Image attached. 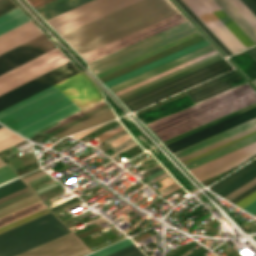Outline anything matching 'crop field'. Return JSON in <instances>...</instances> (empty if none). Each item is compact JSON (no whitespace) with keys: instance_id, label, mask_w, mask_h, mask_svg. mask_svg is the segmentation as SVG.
<instances>
[{"instance_id":"crop-field-1","label":"crop field","mask_w":256,"mask_h":256,"mask_svg":"<svg viewBox=\"0 0 256 256\" xmlns=\"http://www.w3.org/2000/svg\"><path fill=\"white\" fill-rule=\"evenodd\" d=\"M77 73L79 71L68 62L21 85L0 96V111ZM58 85L81 109L104 98L92 81L82 72ZM58 85L1 111L0 123L7 126L67 96ZM76 104L69 97H66L8 127L25 138H28L35 132L81 110Z\"/></svg>"},{"instance_id":"crop-field-2","label":"crop field","mask_w":256,"mask_h":256,"mask_svg":"<svg viewBox=\"0 0 256 256\" xmlns=\"http://www.w3.org/2000/svg\"><path fill=\"white\" fill-rule=\"evenodd\" d=\"M177 13L169 0H141L61 37L81 55Z\"/></svg>"},{"instance_id":"crop-field-3","label":"crop field","mask_w":256,"mask_h":256,"mask_svg":"<svg viewBox=\"0 0 256 256\" xmlns=\"http://www.w3.org/2000/svg\"><path fill=\"white\" fill-rule=\"evenodd\" d=\"M255 101L256 91L247 83L147 123L145 126L163 142Z\"/></svg>"},{"instance_id":"crop-field-4","label":"crop field","mask_w":256,"mask_h":256,"mask_svg":"<svg viewBox=\"0 0 256 256\" xmlns=\"http://www.w3.org/2000/svg\"><path fill=\"white\" fill-rule=\"evenodd\" d=\"M221 58L223 57L211 44H209L196 51L113 86L109 88V90L121 102H123L136 95L213 63Z\"/></svg>"},{"instance_id":"crop-field-5","label":"crop field","mask_w":256,"mask_h":256,"mask_svg":"<svg viewBox=\"0 0 256 256\" xmlns=\"http://www.w3.org/2000/svg\"><path fill=\"white\" fill-rule=\"evenodd\" d=\"M69 233L50 212L0 234V256H16Z\"/></svg>"},{"instance_id":"crop-field-6","label":"crop field","mask_w":256,"mask_h":256,"mask_svg":"<svg viewBox=\"0 0 256 256\" xmlns=\"http://www.w3.org/2000/svg\"><path fill=\"white\" fill-rule=\"evenodd\" d=\"M190 10L207 26V28L224 44L232 53L248 48L254 43L243 33V31L222 11L213 0H182ZM220 10L218 12H215ZM231 30L229 29L218 19Z\"/></svg>"},{"instance_id":"crop-field-7","label":"crop field","mask_w":256,"mask_h":256,"mask_svg":"<svg viewBox=\"0 0 256 256\" xmlns=\"http://www.w3.org/2000/svg\"><path fill=\"white\" fill-rule=\"evenodd\" d=\"M231 68L232 67L224 59H221L197 71H194L167 84L143 93L137 97L127 100L123 102V104L131 112H134L140 108L159 101L165 97H168Z\"/></svg>"},{"instance_id":"crop-field-8","label":"crop field","mask_w":256,"mask_h":256,"mask_svg":"<svg viewBox=\"0 0 256 256\" xmlns=\"http://www.w3.org/2000/svg\"><path fill=\"white\" fill-rule=\"evenodd\" d=\"M139 0H94L47 20L59 34L107 15Z\"/></svg>"},{"instance_id":"crop-field-9","label":"crop field","mask_w":256,"mask_h":256,"mask_svg":"<svg viewBox=\"0 0 256 256\" xmlns=\"http://www.w3.org/2000/svg\"><path fill=\"white\" fill-rule=\"evenodd\" d=\"M57 49H53L0 76V95L67 62Z\"/></svg>"},{"instance_id":"crop-field-10","label":"crop field","mask_w":256,"mask_h":256,"mask_svg":"<svg viewBox=\"0 0 256 256\" xmlns=\"http://www.w3.org/2000/svg\"><path fill=\"white\" fill-rule=\"evenodd\" d=\"M184 21H186V19L184 18V16L181 13H179V14H177L175 16H172V17H170L168 19H165V20H163L161 22L153 24V25H151L149 27H146V28H144L142 30H139V31H137L135 33H132V34H130L128 36H125V37H123L121 39H118V40H116L114 42H111V43H109L107 45H104V46L99 47V48H97L95 50H92V51H90L88 53H85V54L81 55V57L84 58L87 61V63H88V62H90L92 60H95V59H97L99 57H102V56H104L106 54L114 52V51H116L118 49H121V48H123L125 46H128V45H130L132 43H135V42H137L139 40H142V39H144L146 37H149V36H151L153 34H156V33L160 32V31L168 29V28H170L172 26H175V25H177L179 23H182Z\"/></svg>"},{"instance_id":"crop-field-11","label":"crop field","mask_w":256,"mask_h":256,"mask_svg":"<svg viewBox=\"0 0 256 256\" xmlns=\"http://www.w3.org/2000/svg\"><path fill=\"white\" fill-rule=\"evenodd\" d=\"M55 48L43 34L0 55V75Z\"/></svg>"},{"instance_id":"crop-field-12","label":"crop field","mask_w":256,"mask_h":256,"mask_svg":"<svg viewBox=\"0 0 256 256\" xmlns=\"http://www.w3.org/2000/svg\"><path fill=\"white\" fill-rule=\"evenodd\" d=\"M254 154H256V142L194 168L190 173L201 182L238 166Z\"/></svg>"},{"instance_id":"crop-field-13","label":"crop field","mask_w":256,"mask_h":256,"mask_svg":"<svg viewBox=\"0 0 256 256\" xmlns=\"http://www.w3.org/2000/svg\"><path fill=\"white\" fill-rule=\"evenodd\" d=\"M189 24L190 23L186 21L182 24H179L175 27H172L147 39L137 42L131 46H128L124 49H121L117 52H114L110 55L93 61L88 64L90 71L193 28V26L191 24L189 26Z\"/></svg>"},{"instance_id":"crop-field-14","label":"crop field","mask_w":256,"mask_h":256,"mask_svg":"<svg viewBox=\"0 0 256 256\" xmlns=\"http://www.w3.org/2000/svg\"><path fill=\"white\" fill-rule=\"evenodd\" d=\"M89 253L71 233L19 256H83Z\"/></svg>"},{"instance_id":"crop-field-15","label":"crop field","mask_w":256,"mask_h":256,"mask_svg":"<svg viewBox=\"0 0 256 256\" xmlns=\"http://www.w3.org/2000/svg\"><path fill=\"white\" fill-rule=\"evenodd\" d=\"M254 117H256V107H254V108H252L250 110H247V111H245V112H243L241 114H238V115H236V116H234L232 118H229V119H227L225 121H222V122H220L218 124L210 126V127L206 128V129H203V130H201L199 132H196V133H194L192 135H189V136H187L185 138H182V139L177 140V141H175L173 143H170V144L166 145V147L168 148V150L171 153H173V152H175L177 150H180V149H182L184 147H187V146H189L191 144H194V143H196V142H198L200 140H203V139H205L207 137H210V136H212L214 134H217V133H219L221 131H224V130H226L228 128H231V127H233L235 125H238V124H240L242 122H245V121H247V120H249L251 118H254Z\"/></svg>"},{"instance_id":"crop-field-16","label":"crop field","mask_w":256,"mask_h":256,"mask_svg":"<svg viewBox=\"0 0 256 256\" xmlns=\"http://www.w3.org/2000/svg\"><path fill=\"white\" fill-rule=\"evenodd\" d=\"M110 108L105 99L37 132L40 134H46V135H51L55 136L58 133L92 117L95 116L106 109Z\"/></svg>"},{"instance_id":"crop-field-17","label":"crop field","mask_w":256,"mask_h":256,"mask_svg":"<svg viewBox=\"0 0 256 256\" xmlns=\"http://www.w3.org/2000/svg\"><path fill=\"white\" fill-rule=\"evenodd\" d=\"M242 78L235 71L205 83L201 86L186 91L187 95L193 101L194 104L207 99L213 95H216L224 90H227L233 85L231 83Z\"/></svg>"},{"instance_id":"crop-field-18","label":"crop field","mask_w":256,"mask_h":256,"mask_svg":"<svg viewBox=\"0 0 256 256\" xmlns=\"http://www.w3.org/2000/svg\"><path fill=\"white\" fill-rule=\"evenodd\" d=\"M42 34L31 22H27L0 36V54Z\"/></svg>"},{"instance_id":"crop-field-19","label":"crop field","mask_w":256,"mask_h":256,"mask_svg":"<svg viewBox=\"0 0 256 256\" xmlns=\"http://www.w3.org/2000/svg\"><path fill=\"white\" fill-rule=\"evenodd\" d=\"M207 44H209V42L206 39H204V40H202L200 42H197V43H195V44H193L191 46H188V47H186L184 49H181V50H179V51H177L175 53H172V54H170L168 56H165V57H163V58H161L159 60H156V61H154L152 63H149V64H147V65H145L143 67H140V68H138L136 70H133V71H131V72L127 73V74H124V75H122L120 77H117V78H115V79H113L111 81H108V82L104 83V85L107 88H109V87H111L113 85H116V84H118V83H120L122 81H125V80H127L129 78H132V77H134V76H136L138 74H141V73H143L145 71H148V70H150V69H152L154 67H157V66H159L161 64H164V63H166V62H168L170 60H173V59H175L177 57H180V56H182V55H184L186 53H189V52H191L193 50H196V49H198V48H200L202 46H205Z\"/></svg>"},{"instance_id":"crop-field-20","label":"crop field","mask_w":256,"mask_h":256,"mask_svg":"<svg viewBox=\"0 0 256 256\" xmlns=\"http://www.w3.org/2000/svg\"><path fill=\"white\" fill-rule=\"evenodd\" d=\"M255 125H256V118L251 119V120H249V121H247L245 123H242V124H240L238 126H235V127L231 128V129H228V130H226L224 132H221V133H219L217 135H214V136H212L210 138H207V139H205L203 141H200V142H198V143H196L194 145H191V146H189L187 148H184V149H182L180 151H177V152L173 153V155L177 159H179V158H181L183 156H186V155H188L190 153H193V152H195L197 150H200V149H202V148H204L206 146H209V145H211L213 143H216V142H218L220 140H223V139H225L227 137H230V136H232L234 134H237V133H239L241 131H244V130H246L248 128H251V127H253Z\"/></svg>"},{"instance_id":"crop-field-21","label":"crop field","mask_w":256,"mask_h":256,"mask_svg":"<svg viewBox=\"0 0 256 256\" xmlns=\"http://www.w3.org/2000/svg\"><path fill=\"white\" fill-rule=\"evenodd\" d=\"M26 187L19 179L0 186V198ZM33 194L28 187L0 199V208Z\"/></svg>"},{"instance_id":"crop-field-22","label":"crop field","mask_w":256,"mask_h":256,"mask_svg":"<svg viewBox=\"0 0 256 256\" xmlns=\"http://www.w3.org/2000/svg\"><path fill=\"white\" fill-rule=\"evenodd\" d=\"M254 141H256V134H254V135H252L250 137H247V138H245L243 140H240L238 142H235V143H233L231 145H228V146H226L224 148H221V149H219L217 151H214V152H212L210 154H207V155H205L203 157L195 159V160H193L191 162H188V163L184 164V166L188 170H190V169H192L194 167H197V166H199V165H201L203 163H206V162H208L210 160H213V159H215V158H217L219 156H222V155H224L226 153H229V152H231L233 150H236V149H238V148H240L242 146H245V145H247L249 143H252Z\"/></svg>"},{"instance_id":"crop-field-23","label":"crop field","mask_w":256,"mask_h":256,"mask_svg":"<svg viewBox=\"0 0 256 256\" xmlns=\"http://www.w3.org/2000/svg\"><path fill=\"white\" fill-rule=\"evenodd\" d=\"M132 244V242L129 240V239H125L121 242H118L114 245H111L107 248H104L100 251H97L93 254H90L88 256H105L109 253H112L116 250H119L125 246H128ZM107 256H145L134 244L128 246V247H125L119 251H116L112 254H109Z\"/></svg>"},{"instance_id":"crop-field-24","label":"crop field","mask_w":256,"mask_h":256,"mask_svg":"<svg viewBox=\"0 0 256 256\" xmlns=\"http://www.w3.org/2000/svg\"><path fill=\"white\" fill-rule=\"evenodd\" d=\"M37 201H39V199H37V200H35L33 202H30V203H28V204H26L24 206H21V207H19L17 209H14V210H12L10 212H7V213L1 215L0 217H2L4 215H7V214H9L11 212H14V211H16L18 209H21V208H23L25 206H28V205H30L32 203H35ZM44 208H46V206L41 201H39V202H37L35 204H32V205H30L28 207H25V208L21 209V210H18V211L14 212V213H11V214L7 215V216H4V217L0 218V227H3L5 225H7V224H10V223H12V222H14L16 220H19V219H21L23 217H26V216H28L30 214H33V213H35V212H37L39 210L44 209Z\"/></svg>"},{"instance_id":"crop-field-25","label":"crop field","mask_w":256,"mask_h":256,"mask_svg":"<svg viewBox=\"0 0 256 256\" xmlns=\"http://www.w3.org/2000/svg\"><path fill=\"white\" fill-rule=\"evenodd\" d=\"M222 10L246 33V35L256 44V32L237 13V11L226 0H214Z\"/></svg>"},{"instance_id":"crop-field-26","label":"crop field","mask_w":256,"mask_h":256,"mask_svg":"<svg viewBox=\"0 0 256 256\" xmlns=\"http://www.w3.org/2000/svg\"><path fill=\"white\" fill-rule=\"evenodd\" d=\"M29 20L30 19L18 8L1 16L0 35Z\"/></svg>"},{"instance_id":"crop-field-27","label":"crop field","mask_w":256,"mask_h":256,"mask_svg":"<svg viewBox=\"0 0 256 256\" xmlns=\"http://www.w3.org/2000/svg\"><path fill=\"white\" fill-rule=\"evenodd\" d=\"M253 131H256V126L255 127H253V128H251V129H248V130H246V131H244V132H241V133H239V134H237V135H234V136H232V137H230V138H227V139H225V140H223V141H220V142H218V143H216V144H213V145H211V146H209V147H206V148H204V149H202V150H200V151H197V152H195V153H193V154H190V155H188V156H186V157H183V158H181V159H179V161L181 162V163H183V162H185V161H187V160H189V159H192V158H194V157H196V156H199V155H201V154H203V153H205V152H208V151H210V150H212V149H215V148H217V147H219V146H221V145H224V144H226V143H228V142H231V141H233V140H235V139H237V138H240V137H242V136H244V135H247V134H249V133H251V132H253ZM254 133H256V132H254ZM251 134H253V133H251ZM251 134H249V135H251ZM249 135H247V136H249ZM244 137H246V136H244ZM244 137H242V138H244ZM242 138H240V139H242ZM239 140V139H238ZM235 141H237V140H235ZM235 141H233V142H235ZM232 143V142H231ZM228 144H230V143H228ZM228 144H226V145H228ZM225 146V145H224ZM223 147V146H222ZM219 148H221V147H219ZM218 149V148H217ZM216 150V149H215ZM212 151H214V150H212ZM211 152V151H210ZM209 153V152H208ZM207 154V153H206ZM203 155H205V154H203ZM202 156V155H201ZM200 157V156H199ZM196 158H198V157H196ZM195 159V158H194ZM193 160V159H192ZM191 161V160H190ZM188 162V161H187ZM186 163V162H185ZM184 164V163H183Z\"/></svg>"},{"instance_id":"crop-field-28","label":"crop field","mask_w":256,"mask_h":256,"mask_svg":"<svg viewBox=\"0 0 256 256\" xmlns=\"http://www.w3.org/2000/svg\"><path fill=\"white\" fill-rule=\"evenodd\" d=\"M89 1H91V0H69V1H67V2H65L63 4H60V5L56 6V7H53L51 9L47 10V11H44V12L40 13V15L45 20H47V19H49L51 17H54V16H56L58 14H61V13L65 12V11L73 9V8H75L77 6H80V5L84 4V3H87Z\"/></svg>"},{"instance_id":"crop-field-29","label":"crop field","mask_w":256,"mask_h":256,"mask_svg":"<svg viewBox=\"0 0 256 256\" xmlns=\"http://www.w3.org/2000/svg\"><path fill=\"white\" fill-rule=\"evenodd\" d=\"M255 167H256V159L254 161L250 162L249 164H247L246 166L242 167L238 171L234 172L230 176L226 177L222 181L211 186V188H210L211 191L214 193L217 192L218 190L222 189L223 187H225L226 185L233 182L234 180H236L237 178L244 175L245 173H247L248 171H250L251 169H253Z\"/></svg>"},{"instance_id":"crop-field-30","label":"crop field","mask_w":256,"mask_h":256,"mask_svg":"<svg viewBox=\"0 0 256 256\" xmlns=\"http://www.w3.org/2000/svg\"><path fill=\"white\" fill-rule=\"evenodd\" d=\"M24 141L21 137L2 127L0 128V151Z\"/></svg>"},{"instance_id":"crop-field-31","label":"crop field","mask_w":256,"mask_h":256,"mask_svg":"<svg viewBox=\"0 0 256 256\" xmlns=\"http://www.w3.org/2000/svg\"><path fill=\"white\" fill-rule=\"evenodd\" d=\"M175 1L227 55H231V53L223 46V44L206 28V26L189 10V8L181 0Z\"/></svg>"},{"instance_id":"crop-field-32","label":"crop field","mask_w":256,"mask_h":256,"mask_svg":"<svg viewBox=\"0 0 256 256\" xmlns=\"http://www.w3.org/2000/svg\"><path fill=\"white\" fill-rule=\"evenodd\" d=\"M255 177H256V168L250 171L249 173H247L246 175L242 176L241 178H239L238 180H236L226 188L222 189L217 194L224 197Z\"/></svg>"},{"instance_id":"crop-field-33","label":"crop field","mask_w":256,"mask_h":256,"mask_svg":"<svg viewBox=\"0 0 256 256\" xmlns=\"http://www.w3.org/2000/svg\"><path fill=\"white\" fill-rule=\"evenodd\" d=\"M239 14L256 30V17L239 1L227 0Z\"/></svg>"},{"instance_id":"crop-field-34","label":"crop field","mask_w":256,"mask_h":256,"mask_svg":"<svg viewBox=\"0 0 256 256\" xmlns=\"http://www.w3.org/2000/svg\"><path fill=\"white\" fill-rule=\"evenodd\" d=\"M3 166H5V164L0 159V168ZM14 177H16V175L7 166L0 169V183L5 182Z\"/></svg>"},{"instance_id":"crop-field-35","label":"crop field","mask_w":256,"mask_h":256,"mask_svg":"<svg viewBox=\"0 0 256 256\" xmlns=\"http://www.w3.org/2000/svg\"><path fill=\"white\" fill-rule=\"evenodd\" d=\"M254 106H256V104H254V105H252V106H249V107H247V108H244V109H242V110H240V111H237V112H235V113H233V114H231V115H228V116H226V117H224V118H222V119H219V120H217V121H214V122H212V123H210V124H207V125H205V126H202V127L198 128V129H195V130H193V131H190V132H188V133H186V134H184V135H181V136H179V137H177V138H175V139H173V140H170V141L164 143V145H166V144H168V143H170V142H173V141H175V140H177V139H180V138H182V137H184V136H187V135H189V134H191V133H193V132H196V131H198V130H200V129H203V128L207 127V126H210V125H212V124H214V123H217V122H219V121H221V120H224V119H226V118H228V117H231V116H233V115H235V114H238V113H240V112H242V111H244V110H247V109H249V108H251V107H254Z\"/></svg>"},{"instance_id":"crop-field-36","label":"crop field","mask_w":256,"mask_h":256,"mask_svg":"<svg viewBox=\"0 0 256 256\" xmlns=\"http://www.w3.org/2000/svg\"><path fill=\"white\" fill-rule=\"evenodd\" d=\"M256 184V178L253 179L252 181L248 182L247 184H245L244 186L240 187L239 189H237L236 191L232 192L231 194H229L228 196L224 197L225 199H227L228 201L231 200L232 198L236 197L237 195H239L240 193L244 192L245 190H247L248 188H250L251 186Z\"/></svg>"},{"instance_id":"crop-field-37","label":"crop field","mask_w":256,"mask_h":256,"mask_svg":"<svg viewBox=\"0 0 256 256\" xmlns=\"http://www.w3.org/2000/svg\"><path fill=\"white\" fill-rule=\"evenodd\" d=\"M16 8L11 0H0V15Z\"/></svg>"},{"instance_id":"crop-field-38","label":"crop field","mask_w":256,"mask_h":256,"mask_svg":"<svg viewBox=\"0 0 256 256\" xmlns=\"http://www.w3.org/2000/svg\"><path fill=\"white\" fill-rule=\"evenodd\" d=\"M35 199H37L36 195H34V196L30 197V198H27V199H25V200H23L21 202H18V203L14 204V205H11V206H9L7 208H4V209L0 210V215L5 213V212H7V211H10V210H12L14 208H17V207H19L21 205H24V204H26V203H28L30 201H33Z\"/></svg>"},{"instance_id":"crop-field-39","label":"crop field","mask_w":256,"mask_h":256,"mask_svg":"<svg viewBox=\"0 0 256 256\" xmlns=\"http://www.w3.org/2000/svg\"><path fill=\"white\" fill-rule=\"evenodd\" d=\"M122 130H124V129H123L122 126L120 125V126H118L117 128H115V129H113V130H111V131L108 130V131L102 133L101 135H99V136H97V137L100 138V139L103 141V140H105V139H107V138H109V137H111V136H113V135H115V134L121 132Z\"/></svg>"},{"instance_id":"crop-field-40","label":"crop field","mask_w":256,"mask_h":256,"mask_svg":"<svg viewBox=\"0 0 256 256\" xmlns=\"http://www.w3.org/2000/svg\"><path fill=\"white\" fill-rule=\"evenodd\" d=\"M62 192L57 188V187H55V188H53V189H51V190H48V191H46V192H43V193H41V194H39V196L41 197V198H45L46 200H48V199H50V198H52V197H55V196H57V195H59V194H61Z\"/></svg>"},{"instance_id":"crop-field-41","label":"crop field","mask_w":256,"mask_h":256,"mask_svg":"<svg viewBox=\"0 0 256 256\" xmlns=\"http://www.w3.org/2000/svg\"><path fill=\"white\" fill-rule=\"evenodd\" d=\"M65 1H67V0H54V1L50 2V3H47V4L43 5V6H40V7L36 8V10H37L38 13H40V12H42L44 10H47V9L53 7V6H56V5L60 4V3L65 2Z\"/></svg>"},{"instance_id":"crop-field-42","label":"crop field","mask_w":256,"mask_h":256,"mask_svg":"<svg viewBox=\"0 0 256 256\" xmlns=\"http://www.w3.org/2000/svg\"><path fill=\"white\" fill-rule=\"evenodd\" d=\"M255 191H256V185L251 187L250 189H248L244 193L240 194L236 198L232 199L230 202L235 204V203L239 202L240 200H242L243 198L247 197L248 195H250L251 193H253Z\"/></svg>"},{"instance_id":"crop-field-43","label":"crop field","mask_w":256,"mask_h":256,"mask_svg":"<svg viewBox=\"0 0 256 256\" xmlns=\"http://www.w3.org/2000/svg\"><path fill=\"white\" fill-rule=\"evenodd\" d=\"M241 1L256 16V4L252 0H241Z\"/></svg>"},{"instance_id":"crop-field-44","label":"crop field","mask_w":256,"mask_h":256,"mask_svg":"<svg viewBox=\"0 0 256 256\" xmlns=\"http://www.w3.org/2000/svg\"><path fill=\"white\" fill-rule=\"evenodd\" d=\"M134 142H136V141L132 138V139H130V140L124 142L123 144H121V145H119V146H117V147H115V148H113V149H111V150L116 153V152H118L119 150H121V149L127 147L128 145H130V144H132V143H134Z\"/></svg>"},{"instance_id":"crop-field-45","label":"crop field","mask_w":256,"mask_h":256,"mask_svg":"<svg viewBox=\"0 0 256 256\" xmlns=\"http://www.w3.org/2000/svg\"><path fill=\"white\" fill-rule=\"evenodd\" d=\"M43 174H45V172L43 170H41V171H39L37 173H34V174L30 175V176H27V177L23 178V180H24L25 183H27V182H29V181H31V180H33V179L43 175Z\"/></svg>"},{"instance_id":"crop-field-46","label":"crop field","mask_w":256,"mask_h":256,"mask_svg":"<svg viewBox=\"0 0 256 256\" xmlns=\"http://www.w3.org/2000/svg\"><path fill=\"white\" fill-rule=\"evenodd\" d=\"M244 210L248 211L251 214H256V201L252 202L251 204L247 205L243 208Z\"/></svg>"},{"instance_id":"crop-field-47","label":"crop field","mask_w":256,"mask_h":256,"mask_svg":"<svg viewBox=\"0 0 256 256\" xmlns=\"http://www.w3.org/2000/svg\"><path fill=\"white\" fill-rule=\"evenodd\" d=\"M77 200H79L77 197H75V198H73V199H71V200H68V201H66V202H63V203H61V204H59V205H56V206H54V207H52V209H53V211H55V210H57V209H59V208H61V207H64V206H66V205H68V204H70V203H73V202H75V201H77Z\"/></svg>"},{"instance_id":"crop-field-48","label":"crop field","mask_w":256,"mask_h":256,"mask_svg":"<svg viewBox=\"0 0 256 256\" xmlns=\"http://www.w3.org/2000/svg\"><path fill=\"white\" fill-rule=\"evenodd\" d=\"M178 185H180V184H178V183L176 182V183H174V184H172V185H170V186H168V187H166V188H164V189H162V190H160V191H158V192H159L160 194H163V193H165V192H167V191L173 189L174 187H176V186H178Z\"/></svg>"},{"instance_id":"crop-field-49","label":"crop field","mask_w":256,"mask_h":256,"mask_svg":"<svg viewBox=\"0 0 256 256\" xmlns=\"http://www.w3.org/2000/svg\"><path fill=\"white\" fill-rule=\"evenodd\" d=\"M246 52L256 61V48H250Z\"/></svg>"},{"instance_id":"crop-field-50","label":"crop field","mask_w":256,"mask_h":256,"mask_svg":"<svg viewBox=\"0 0 256 256\" xmlns=\"http://www.w3.org/2000/svg\"><path fill=\"white\" fill-rule=\"evenodd\" d=\"M126 133H128V132H127V131H124V132H122V133H120V134H118V135H116V136H114V137H112V138H110V139H108V140L102 142V143H104V144L106 145V144H108L110 141H112V140H114V139H116V138H118V137H120V136H122V135H124V134H126Z\"/></svg>"},{"instance_id":"crop-field-51","label":"crop field","mask_w":256,"mask_h":256,"mask_svg":"<svg viewBox=\"0 0 256 256\" xmlns=\"http://www.w3.org/2000/svg\"><path fill=\"white\" fill-rule=\"evenodd\" d=\"M167 175H169V174L166 172V173H164V174H162V175H160V176L154 178V179L151 180V181H153V182L155 183L156 181L162 179L163 177H165V176H167ZM163 179H164V178H163Z\"/></svg>"},{"instance_id":"crop-field-52","label":"crop field","mask_w":256,"mask_h":256,"mask_svg":"<svg viewBox=\"0 0 256 256\" xmlns=\"http://www.w3.org/2000/svg\"><path fill=\"white\" fill-rule=\"evenodd\" d=\"M136 144H138V143L136 142V143H134V144L130 145L129 147H127V148L123 149L122 151H120V152H118V153H116V154H114V155H112V156H110V157L112 158V157H114V156L118 155L119 153H121V152H123V151H125V150H127V149H129V148H131V147H133V146H135Z\"/></svg>"},{"instance_id":"crop-field-53","label":"crop field","mask_w":256,"mask_h":256,"mask_svg":"<svg viewBox=\"0 0 256 256\" xmlns=\"http://www.w3.org/2000/svg\"><path fill=\"white\" fill-rule=\"evenodd\" d=\"M179 188H181V187L179 186V187H177V188H175V189H173V190L169 191L168 193H166V194L162 195V197H163V196H165V195H167V194H169V193H171V192H173V191H175V190H177V189H179Z\"/></svg>"},{"instance_id":"crop-field-54","label":"crop field","mask_w":256,"mask_h":256,"mask_svg":"<svg viewBox=\"0 0 256 256\" xmlns=\"http://www.w3.org/2000/svg\"><path fill=\"white\" fill-rule=\"evenodd\" d=\"M190 252H192V251H187L186 253H184L183 255H181V256H186L187 254H189Z\"/></svg>"},{"instance_id":"crop-field-55","label":"crop field","mask_w":256,"mask_h":256,"mask_svg":"<svg viewBox=\"0 0 256 256\" xmlns=\"http://www.w3.org/2000/svg\"><path fill=\"white\" fill-rule=\"evenodd\" d=\"M256 3V0H253Z\"/></svg>"},{"instance_id":"crop-field-56","label":"crop field","mask_w":256,"mask_h":256,"mask_svg":"<svg viewBox=\"0 0 256 256\" xmlns=\"http://www.w3.org/2000/svg\"><path fill=\"white\" fill-rule=\"evenodd\" d=\"M0 127H2V126H0Z\"/></svg>"},{"instance_id":"crop-field-57","label":"crop field","mask_w":256,"mask_h":256,"mask_svg":"<svg viewBox=\"0 0 256 256\" xmlns=\"http://www.w3.org/2000/svg\"><path fill=\"white\" fill-rule=\"evenodd\" d=\"M256 216V215H255Z\"/></svg>"}]
</instances>
